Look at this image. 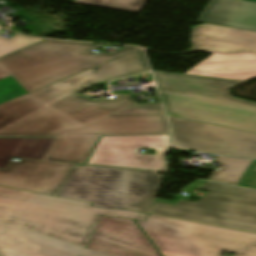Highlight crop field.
<instances>
[{
	"label": "crop field",
	"instance_id": "1",
	"mask_svg": "<svg viewBox=\"0 0 256 256\" xmlns=\"http://www.w3.org/2000/svg\"><path fill=\"white\" fill-rule=\"evenodd\" d=\"M90 205L0 187V221L84 248L99 215L140 220H146L150 215Z\"/></svg>",
	"mask_w": 256,
	"mask_h": 256
},
{
	"label": "crop field",
	"instance_id": "2",
	"mask_svg": "<svg viewBox=\"0 0 256 256\" xmlns=\"http://www.w3.org/2000/svg\"><path fill=\"white\" fill-rule=\"evenodd\" d=\"M152 72L168 115L256 133V103L228 95L241 81Z\"/></svg>",
	"mask_w": 256,
	"mask_h": 256
},
{
	"label": "crop field",
	"instance_id": "3",
	"mask_svg": "<svg viewBox=\"0 0 256 256\" xmlns=\"http://www.w3.org/2000/svg\"><path fill=\"white\" fill-rule=\"evenodd\" d=\"M99 47L45 40L1 58L0 79L11 75L29 92L139 49L123 46L114 54H92Z\"/></svg>",
	"mask_w": 256,
	"mask_h": 256
},
{
	"label": "crop field",
	"instance_id": "4",
	"mask_svg": "<svg viewBox=\"0 0 256 256\" xmlns=\"http://www.w3.org/2000/svg\"><path fill=\"white\" fill-rule=\"evenodd\" d=\"M160 182L161 176L151 171L75 165L57 196L149 213Z\"/></svg>",
	"mask_w": 256,
	"mask_h": 256
},
{
	"label": "crop field",
	"instance_id": "5",
	"mask_svg": "<svg viewBox=\"0 0 256 256\" xmlns=\"http://www.w3.org/2000/svg\"><path fill=\"white\" fill-rule=\"evenodd\" d=\"M137 221L164 256H256L254 233L153 215Z\"/></svg>",
	"mask_w": 256,
	"mask_h": 256
},
{
	"label": "crop field",
	"instance_id": "6",
	"mask_svg": "<svg viewBox=\"0 0 256 256\" xmlns=\"http://www.w3.org/2000/svg\"><path fill=\"white\" fill-rule=\"evenodd\" d=\"M197 203L155 202L150 214L256 233V191L208 183Z\"/></svg>",
	"mask_w": 256,
	"mask_h": 256
},
{
	"label": "crop field",
	"instance_id": "7",
	"mask_svg": "<svg viewBox=\"0 0 256 256\" xmlns=\"http://www.w3.org/2000/svg\"><path fill=\"white\" fill-rule=\"evenodd\" d=\"M137 105L130 95L91 100L75 92L0 132V137L57 136Z\"/></svg>",
	"mask_w": 256,
	"mask_h": 256
},
{
	"label": "crop field",
	"instance_id": "8",
	"mask_svg": "<svg viewBox=\"0 0 256 256\" xmlns=\"http://www.w3.org/2000/svg\"><path fill=\"white\" fill-rule=\"evenodd\" d=\"M149 70L143 51H137L68 79L0 104V131L43 109L51 102L94 83Z\"/></svg>",
	"mask_w": 256,
	"mask_h": 256
},
{
	"label": "crop field",
	"instance_id": "9",
	"mask_svg": "<svg viewBox=\"0 0 256 256\" xmlns=\"http://www.w3.org/2000/svg\"><path fill=\"white\" fill-rule=\"evenodd\" d=\"M168 117L174 145L214 154L256 159V134Z\"/></svg>",
	"mask_w": 256,
	"mask_h": 256
},
{
	"label": "crop field",
	"instance_id": "10",
	"mask_svg": "<svg viewBox=\"0 0 256 256\" xmlns=\"http://www.w3.org/2000/svg\"><path fill=\"white\" fill-rule=\"evenodd\" d=\"M168 135L101 137L88 163L164 170ZM139 148L155 149V154H139Z\"/></svg>",
	"mask_w": 256,
	"mask_h": 256
},
{
	"label": "crop field",
	"instance_id": "11",
	"mask_svg": "<svg viewBox=\"0 0 256 256\" xmlns=\"http://www.w3.org/2000/svg\"><path fill=\"white\" fill-rule=\"evenodd\" d=\"M75 164L21 159L0 170V186L53 195L62 188Z\"/></svg>",
	"mask_w": 256,
	"mask_h": 256
},
{
	"label": "crop field",
	"instance_id": "12",
	"mask_svg": "<svg viewBox=\"0 0 256 256\" xmlns=\"http://www.w3.org/2000/svg\"><path fill=\"white\" fill-rule=\"evenodd\" d=\"M86 248L111 256H160L133 220L104 216Z\"/></svg>",
	"mask_w": 256,
	"mask_h": 256
},
{
	"label": "crop field",
	"instance_id": "13",
	"mask_svg": "<svg viewBox=\"0 0 256 256\" xmlns=\"http://www.w3.org/2000/svg\"><path fill=\"white\" fill-rule=\"evenodd\" d=\"M0 256H107L0 222Z\"/></svg>",
	"mask_w": 256,
	"mask_h": 256
},
{
	"label": "crop field",
	"instance_id": "14",
	"mask_svg": "<svg viewBox=\"0 0 256 256\" xmlns=\"http://www.w3.org/2000/svg\"><path fill=\"white\" fill-rule=\"evenodd\" d=\"M168 134L163 114L111 115L61 136H115Z\"/></svg>",
	"mask_w": 256,
	"mask_h": 256
},
{
	"label": "crop field",
	"instance_id": "15",
	"mask_svg": "<svg viewBox=\"0 0 256 256\" xmlns=\"http://www.w3.org/2000/svg\"><path fill=\"white\" fill-rule=\"evenodd\" d=\"M190 43V50L256 52V32L202 24L193 27Z\"/></svg>",
	"mask_w": 256,
	"mask_h": 256
},
{
	"label": "crop field",
	"instance_id": "16",
	"mask_svg": "<svg viewBox=\"0 0 256 256\" xmlns=\"http://www.w3.org/2000/svg\"><path fill=\"white\" fill-rule=\"evenodd\" d=\"M185 74L247 81L256 77V54H212Z\"/></svg>",
	"mask_w": 256,
	"mask_h": 256
},
{
	"label": "crop field",
	"instance_id": "17",
	"mask_svg": "<svg viewBox=\"0 0 256 256\" xmlns=\"http://www.w3.org/2000/svg\"><path fill=\"white\" fill-rule=\"evenodd\" d=\"M198 21L256 31V3L244 0H211Z\"/></svg>",
	"mask_w": 256,
	"mask_h": 256
},
{
	"label": "crop field",
	"instance_id": "18",
	"mask_svg": "<svg viewBox=\"0 0 256 256\" xmlns=\"http://www.w3.org/2000/svg\"><path fill=\"white\" fill-rule=\"evenodd\" d=\"M55 138L0 139V169L12 157L44 159Z\"/></svg>",
	"mask_w": 256,
	"mask_h": 256
},
{
	"label": "crop field",
	"instance_id": "19",
	"mask_svg": "<svg viewBox=\"0 0 256 256\" xmlns=\"http://www.w3.org/2000/svg\"><path fill=\"white\" fill-rule=\"evenodd\" d=\"M98 137L57 136L45 159L85 163Z\"/></svg>",
	"mask_w": 256,
	"mask_h": 256
},
{
	"label": "crop field",
	"instance_id": "20",
	"mask_svg": "<svg viewBox=\"0 0 256 256\" xmlns=\"http://www.w3.org/2000/svg\"><path fill=\"white\" fill-rule=\"evenodd\" d=\"M214 161L220 163L221 170L213 172L209 180L237 185L252 160L219 156Z\"/></svg>",
	"mask_w": 256,
	"mask_h": 256
},
{
	"label": "crop field",
	"instance_id": "21",
	"mask_svg": "<svg viewBox=\"0 0 256 256\" xmlns=\"http://www.w3.org/2000/svg\"><path fill=\"white\" fill-rule=\"evenodd\" d=\"M147 1L148 0H76V3L140 13Z\"/></svg>",
	"mask_w": 256,
	"mask_h": 256
},
{
	"label": "crop field",
	"instance_id": "22",
	"mask_svg": "<svg viewBox=\"0 0 256 256\" xmlns=\"http://www.w3.org/2000/svg\"><path fill=\"white\" fill-rule=\"evenodd\" d=\"M1 30L2 29L0 28V31ZM42 40L43 39L29 38L17 34H15L10 39L0 37V58L13 52H16L18 50H21L23 48H26Z\"/></svg>",
	"mask_w": 256,
	"mask_h": 256
},
{
	"label": "crop field",
	"instance_id": "23",
	"mask_svg": "<svg viewBox=\"0 0 256 256\" xmlns=\"http://www.w3.org/2000/svg\"><path fill=\"white\" fill-rule=\"evenodd\" d=\"M23 94L25 92L10 76L0 80V103Z\"/></svg>",
	"mask_w": 256,
	"mask_h": 256
},
{
	"label": "crop field",
	"instance_id": "24",
	"mask_svg": "<svg viewBox=\"0 0 256 256\" xmlns=\"http://www.w3.org/2000/svg\"><path fill=\"white\" fill-rule=\"evenodd\" d=\"M163 113L161 104L137 105L116 114Z\"/></svg>",
	"mask_w": 256,
	"mask_h": 256
},
{
	"label": "crop field",
	"instance_id": "25",
	"mask_svg": "<svg viewBox=\"0 0 256 256\" xmlns=\"http://www.w3.org/2000/svg\"><path fill=\"white\" fill-rule=\"evenodd\" d=\"M238 185L256 189V161H252Z\"/></svg>",
	"mask_w": 256,
	"mask_h": 256
},
{
	"label": "crop field",
	"instance_id": "26",
	"mask_svg": "<svg viewBox=\"0 0 256 256\" xmlns=\"http://www.w3.org/2000/svg\"><path fill=\"white\" fill-rule=\"evenodd\" d=\"M132 78H134L136 82H139L138 79H141V78H144L146 81H152L150 73L141 74L139 76H135V77H132ZM123 81H125V79H123ZM117 82L118 81L111 82L110 85H117L116 84Z\"/></svg>",
	"mask_w": 256,
	"mask_h": 256
},
{
	"label": "crop field",
	"instance_id": "27",
	"mask_svg": "<svg viewBox=\"0 0 256 256\" xmlns=\"http://www.w3.org/2000/svg\"><path fill=\"white\" fill-rule=\"evenodd\" d=\"M112 94H129L127 91L111 92Z\"/></svg>",
	"mask_w": 256,
	"mask_h": 256
},
{
	"label": "crop field",
	"instance_id": "28",
	"mask_svg": "<svg viewBox=\"0 0 256 256\" xmlns=\"http://www.w3.org/2000/svg\"><path fill=\"white\" fill-rule=\"evenodd\" d=\"M252 1H256V0H252Z\"/></svg>",
	"mask_w": 256,
	"mask_h": 256
}]
</instances>
